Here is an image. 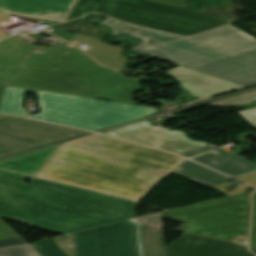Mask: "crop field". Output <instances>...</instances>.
<instances>
[{
    "label": "crop field",
    "mask_w": 256,
    "mask_h": 256,
    "mask_svg": "<svg viewBox=\"0 0 256 256\" xmlns=\"http://www.w3.org/2000/svg\"><path fill=\"white\" fill-rule=\"evenodd\" d=\"M238 179L256 187V172L240 176Z\"/></svg>",
    "instance_id": "crop-field-30"
},
{
    "label": "crop field",
    "mask_w": 256,
    "mask_h": 256,
    "mask_svg": "<svg viewBox=\"0 0 256 256\" xmlns=\"http://www.w3.org/2000/svg\"><path fill=\"white\" fill-rule=\"evenodd\" d=\"M253 127L256 128V108L239 112Z\"/></svg>",
    "instance_id": "crop-field-28"
},
{
    "label": "crop field",
    "mask_w": 256,
    "mask_h": 256,
    "mask_svg": "<svg viewBox=\"0 0 256 256\" xmlns=\"http://www.w3.org/2000/svg\"><path fill=\"white\" fill-rule=\"evenodd\" d=\"M86 133L89 132L0 115V157Z\"/></svg>",
    "instance_id": "crop-field-9"
},
{
    "label": "crop field",
    "mask_w": 256,
    "mask_h": 256,
    "mask_svg": "<svg viewBox=\"0 0 256 256\" xmlns=\"http://www.w3.org/2000/svg\"><path fill=\"white\" fill-rule=\"evenodd\" d=\"M166 73L199 99L247 88L182 66Z\"/></svg>",
    "instance_id": "crop-field-12"
},
{
    "label": "crop field",
    "mask_w": 256,
    "mask_h": 256,
    "mask_svg": "<svg viewBox=\"0 0 256 256\" xmlns=\"http://www.w3.org/2000/svg\"><path fill=\"white\" fill-rule=\"evenodd\" d=\"M100 24L106 25L111 29V36H117L118 33L123 32L128 33L132 37L142 39V44L136 45L130 49L131 51L138 53L184 38L151 29L127 25L110 18H107Z\"/></svg>",
    "instance_id": "crop-field-15"
},
{
    "label": "crop field",
    "mask_w": 256,
    "mask_h": 256,
    "mask_svg": "<svg viewBox=\"0 0 256 256\" xmlns=\"http://www.w3.org/2000/svg\"><path fill=\"white\" fill-rule=\"evenodd\" d=\"M253 202V221L251 228L250 247L256 250V193L252 196Z\"/></svg>",
    "instance_id": "crop-field-25"
},
{
    "label": "crop field",
    "mask_w": 256,
    "mask_h": 256,
    "mask_svg": "<svg viewBox=\"0 0 256 256\" xmlns=\"http://www.w3.org/2000/svg\"><path fill=\"white\" fill-rule=\"evenodd\" d=\"M249 195L243 193L162 213L187 221L177 231L237 242L246 241L249 227Z\"/></svg>",
    "instance_id": "crop-field-6"
},
{
    "label": "crop field",
    "mask_w": 256,
    "mask_h": 256,
    "mask_svg": "<svg viewBox=\"0 0 256 256\" xmlns=\"http://www.w3.org/2000/svg\"><path fill=\"white\" fill-rule=\"evenodd\" d=\"M73 44H86L87 52L91 57L101 64L109 67L119 69L129 60H127L120 53L122 48L105 45L99 41L86 38L77 34L72 35L71 41Z\"/></svg>",
    "instance_id": "crop-field-18"
},
{
    "label": "crop field",
    "mask_w": 256,
    "mask_h": 256,
    "mask_svg": "<svg viewBox=\"0 0 256 256\" xmlns=\"http://www.w3.org/2000/svg\"><path fill=\"white\" fill-rule=\"evenodd\" d=\"M180 1H184V2H186V0H180Z\"/></svg>",
    "instance_id": "crop-field-33"
},
{
    "label": "crop field",
    "mask_w": 256,
    "mask_h": 256,
    "mask_svg": "<svg viewBox=\"0 0 256 256\" xmlns=\"http://www.w3.org/2000/svg\"><path fill=\"white\" fill-rule=\"evenodd\" d=\"M210 150H213V149L210 146L206 145V146L197 148L195 150H192V151L180 154V155L190 157V156L197 155V154H200V153H203V152H206V151H210Z\"/></svg>",
    "instance_id": "crop-field-29"
},
{
    "label": "crop field",
    "mask_w": 256,
    "mask_h": 256,
    "mask_svg": "<svg viewBox=\"0 0 256 256\" xmlns=\"http://www.w3.org/2000/svg\"><path fill=\"white\" fill-rule=\"evenodd\" d=\"M89 20L86 21H69L65 23H61L54 27L61 28L70 32H74L86 37H90L99 41H103L104 37L107 35L108 30L106 27L98 26L93 27L90 23L100 20L101 18L97 16H90Z\"/></svg>",
    "instance_id": "crop-field-20"
},
{
    "label": "crop field",
    "mask_w": 256,
    "mask_h": 256,
    "mask_svg": "<svg viewBox=\"0 0 256 256\" xmlns=\"http://www.w3.org/2000/svg\"><path fill=\"white\" fill-rule=\"evenodd\" d=\"M2 88H3V86L0 85V95H1Z\"/></svg>",
    "instance_id": "crop-field-32"
},
{
    "label": "crop field",
    "mask_w": 256,
    "mask_h": 256,
    "mask_svg": "<svg viewBox=\"0 0 256 256\" xmlns=\"http://www.w3.org/2000/svg\"><path fill=\"white\" fill-rule=\"evenodd\" d=\"M9 16H0V21L7 19ZM7 36L4 32L0 30V39Z\"/></svg>",
    "instance_id": "crop-field-31"
},
{
    "label": "crop field",
    "mask_w": 256,
    "mask_h": 256,
    "mask_svg": "<svg viewBox=\"0 0 256 256\" xmlns=\"http://www.w3.org/2000/svg\"><path fill=\"white\" fill-rule=\"evenodd\" d=\"M90 1L100 2L102 7L109 6V0H76L64 21L72 19V16L76 11L89 8L86 3Z\"/></svg>",
    "instance_id": "crop-field-24"
},
{
    "label": "crop field",
    "mask_w": 256,
    "mask_h": 256,
    "mask_svg": "<svg viewBox=\"0 0 256 256\" xmlns=\"http://www.w3.org/2000/svg\"><path fill=\"white\" fill-rule=\"evenodd\" d=\"M27 243L0 219V247Z\"/></svg>",
    "instance_id": "crop-field-21"
},
{
    "label": "crop field",
    "mask_w": 256,
    "mask_h": 256,
    "mask_svg": "<svg viewBox=\"0 0 256 256\" xmlns=\"http://www.w3.org/2000/svg\"><path fill=\"white\" fill-rule=\"evenodd\" d=\"M25 91L36 93L41 112L88 99L71 95L54 94L4 86L0 99V113L28 117L29 113L22 107Z\"/></svg>",
    "instance_id": "crop-field-13"
},
{
    "label": "crop field",
    "mask_w": 256,
    "mask_h": 256,
    "mask_svg": "<svg viewBox=\"0 0 256 256\" xmlns=\"http://www.w3.org/2000/svg\"><path fill=\"white\" fill-rule=\"evenodd\" d=\"M191 159L231 177L256 169V164L247 161L244 157L233 154L223 155L217 151L193 157Z\"/></svg>",
    "instance_id": "crop-field-16"
},
{
    "label": "crop field",
    "mask_w": 256,
    "mask_h": 256,
    "mask_svg": "<svg viewBox=\"0 0 256 256\" xmlns=\"http://www.w3.org/2000/svg\"><path fill=\"white\" fill-rule=\"evenodd\" d=\"M105 134L177 154L206 145L190 140L184 132L154 127L147 120L107 131Z\"/></svg>",
    "instance_id": "crop-field-10"
},
{
    "label": "crop field",
    "mask_w": 256,
    "mask_h": 256,
    "mask_svg": "<svg viewBox=\"0 0 256 256\" xmlns=\"http://www.w3.org/2000/svg\"><path fill=\"white\" fill-rule=\"evenodd\" d=\"M174 172L213 188L230 179L188 160H185Z\"/></svg>",
    "instance_id": "crop-field-19"
},
{
    "label": "crop field",
    "mask_w": 256,
    "mask_h": 256,
    "mask_svg": "<svg viewBox=\"0 0 256 256\" xmlns=\"http://www.w3.org/2000/svg\"><path fill=\"white\" fill-rule=\"evenodd\" d=\"M70 236H73V233L72 234H68V235H65V236H62V237H58V238H54L53 240L61 247V246H64L63 251H67V250H73V252H69V253H66L68 256L72 255L74 256V247H70L71 245H74V242H73V238L70 239V240H67V241H64L62 243H58V241L62 240V239H65V238H68Z\"/></svg>",
    "instance_id": "crop-field-27"
},
{
    "label": "crop field",
    "mask_w": 256,
    "mask_h": 256,
    "mask_svg": "<svg viewBox=\"0 0 256 256\" xmlns=\"http://www.w3.org/2000/svg\"><path fill=\"white\" fill-rule=\"evenodd\" d=\"M0 171V217L71 233L133 218L136 203L86 189Z\"/></svg>",
    "instance_id": "crop-field-2"
},
{
    "label": "crop field",
    "mask_w": 256,
    "mask_h": 256,
    "mask_svg": "<svg viewBox=\"0 0 256 256\" xmlns=\"http://www.w3.org/2000/svg\"><path fill=\"white\" fill-rule=\"evenodd\" d=\"M92 12H100L127 23L182 36H191L228 23V20L216 16L149 0H113L111 10L102 11L94 4Z\"/></svg>",
    "instance_id": "crop-field-7"
},
{
    "label": "crop field",
    "mask_w": 256,
    "mask_h": 256,
    "mask_svg": "<svg viewBox=\"0 0 256 256\" xmlns=\"http://www.w3.org/2000/svg\"><path fill=\"white\" fill-rule=\"evenodd\" d=\"M73 0H0V13H16L52 19L64 17Z\"/></svg>",
    "instance_id": "crop-field-14"
},
{
    "label": "crop field",
    "mask_w": 256,
    "mask_h": 256,
    "mask_svg": "<svg viewBox=\"0 0 256 256\" xmlns=\"http://www.w3.org/2000/svg\"><path fill=\"white\" fill-rule=\"evenodd\" d=\"M184 159L96 136L63 146L36 176L137 202Z\"/></svg>",
    "instance_id": "crop-field-1"
},
{
    "label": "crop field",
    "mask_w": 256,
    "mask_h": 256,
    "mask_svg": "<svg viewBox=\"0 0 256 256\" xmlns=\"http://www.w3.org/2000/svg\"><path fill=\"white\" fill-rule=\"evenodd\" d=\"M167 256H254L236 244L183 233L166 247Z\"/></svg>",
    "instance_id": "crop-field-11"
},
{
    "label": "crop field",
    "mask_w": 256,
    "mask_h": 256,
    "mask_svg": "<svg viewBox=\"0 0 256 256\" xmlns=\"http://www.w3.org/2000/svg\"><path fill=\"white\" fill-rule=\"evenodd\" d=\"M74 241L75 256H166L162 231L131 221L74 233ZM30 245L39 256H67L52 239Z\"/></svg>",
    "instance_id": "crop-field-5"
},
{
    "label": "crop field",
    "mask_w": 256,
    "mask_h": 256,
    "mask_svg": "<svg viewBox=\"0 0 256 256\" xmlns=\"http://www.w3.org/2000/svg\"><path fill=\"white\" fill-rule=\"evenodd\" d=\"M60 145L0 162V170L33 177Z\"/></svg>",
    "instance_id": "crop-field-17"
},
{
    "label": "crop field",
    "mask_w": 256,
    "mask_h": 256,
    "mask_svg": "<svg viewBox=\"0 0 256 256\" xmlns=\"http://www.w3.org/2000/svg\"><path fill=\"white\" fill-rule=\"evenodd\" d=\"M155 215H158V216L153 217V218H151V216H154V215L141 217L143 219L138 220L137 222H140V223H143V224H146V225H149V226H152V227H155L157 229H161L162 230L161 213L155 214ZM136 219H139V218H136ZM132 221H136V220L132 219ZM157 221H159L160 226H157ZM146 222H149V223H146Z\"/></svg>",
    "instance_id": "crop-field-26"
},
{
    "label": "crop field",
    "mask_w": 256,
    "mask_h": 256,
    "mask_svg": "<svg viewBox=\"0 0 256 256\" xmlns=\"http://www.w3.org/2000/svg\"><path fill=\"white\" fill-rule=\"evenodd\" d=\"M21 65L20 75L5 85L128 104L131 93L144 89L136 79L98 65L70 45L33 51Z\"/></svg>",
    "instance_id": "crop-field-3"
},
{
    "label": "crop field",
    "mask_w": 256,
    "mask_h": 256,
    "mask_svg": "<svg viewBox=\"0 0 256 256\" xmlns=\"http://www.w3.org/2000/svg\"><path fill=\"white\" fill-rule=\"evenodd\" d=\"M0 256H38L29 244L0 248Z\"/></svg>",
    "instance_id": "crop-field-22"
},
{
    "label": "crop field",
    "mask_w": 256,
    "mask_h": 256,
    "mask_svg": "<svg viewBox=\"0 0 256 256\" xmlns=\"http://www.w3.org/2000/svg\"><path fill=\"white\" fill-rule=\"evenodd\" d=\"M256 99V91L248 94L232 97L218 102L210 103L213 106L242 105Z\"/></svg>",
    "instance_id": "crop-field-23"
},
{
    "label": "crop field",
    "mask_w": 256,
    "mask_h": 256,
    "mask_svg": "<svg viewBox=\"0 0 256 256\" xmlns=\"http://www.w3.org/2000/svg\"><path fill=\"white\" fill-rule=\"evenodd\" d=\"M141 54L248 87L256 85V40L230 25Z\"/></svg>",
    "instance_id": "crop-field-4"
},
{
    "label": "crop field",
    "mask_w": 256,
    "mask_h": 256,
    "mask_svg": "<svg viewBox=\"0 0 256 256\" xmlns=\"http://www.w3.org/2000/svg\"><path fill=\"white\" fill-rule=\"evenodd\" d=\"M158 109L88 99L39 114L33 118L99 130L157 112Z\"/></svg>",
    "instance_id": "crop-field-8"
}]
</instances>
